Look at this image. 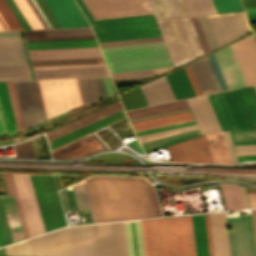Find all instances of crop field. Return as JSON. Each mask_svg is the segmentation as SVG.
I'll use <instances>...</instances> for the list:
<instances>
[{
	"instance_id": "1",
	"label": "crop field",
	"mask_w": 256,
	"mask_h": 256,
	"mask_svg": "<svg viewBox=\"0 0 256 256\" xmlns=\"http://www.w3.org/2000/svg\"><path fill=\"white\" fill-rule=\"evenodd\" d=\"M28 244L30 256H127L123 222L71 226Z\"/></svg>"
},
{
	"instance_id": "2",
	"label": "crop field",
	"mask_w": 256,
	"mask_h": 256,
	"mask_svg": "<svg viewBox=\"0 0 256 256\" xmlns=\"http://www.w3.org/2000/svg\"><path fill=\"white\" fill-rule=\"evenodd\" d=\"M97 221L162 216L153 186L143 178L86 179Z\"/></svg>"
},
{
	"instance_id": "3",
	"label": "crop field",
	"mask_w": 256,
	"mask_h": 256,
	"mask_svg": "<svg viewBox=\"0 0 256 256\" xmlns=\"http://www.w3.org/2000/svg\"><path fill=\"white\" fill-rule=\"evenodd\" d=\"M145 256H196L191 216L141 220Z\"/></svg>"
},
{
	"instance_id": "4",
	"label": "crop field",
	"mask_w": 256,
	"mask_h": 256,
	"mask_svg": "<svg viewBox=\"0 0 256 256\" xmlns=\"http://www.w3.org/2000/svg\"><path fill=\"white\" fill-rule=\"evenodd\" d=\"M110 73L173 66L163 42L101 48Z\"/></svg>"
},
{
	"instance_id": "5",
	"label": "crop field",
	"mask_w": 256,
	"mask_h": 256,
	"mask_svg": "<svg viewBox=\"0 0 256 256\" xmlns=\"http://www.w3.org/2000/svg\"><path fill=\"white\" fill-rule=\"evenodd\" d=\"M98 42L161 36L153 14L97 20Z\"/></svg>"
},
{
	"instance_id": "6",
	"label": "crop field",
	"mask_w": 256,
	"mask_h": 256,
	"mask_svg": "<svg viewBox=\"0 0 256 256\" xmlns=\"http://www.w3.org/2000/svg\"><path fill=\"white\" fill-rule=\"evenodd\" d=\"M45 231L65 226V219L52 176L29 175Z\"/></svg>"
},
{
	"instance_id": "7",
	"label": "crop field",
	"mask_w": 256,
	"mask_h": 256,
	"mask_svg": "<svg viewBox=\"0 0 256 256\" xmlns=\"http://www.w3.org/2000/svg\"><path fill=\"white\" fill-rule=\"evenodd\" d=\"M48 119L82 105L76 79L39 81Z\"/></svg>"
},
{
	"instance_id": "8",
	"label": "crop field",
	"mask_w": 256,
	"mask_h": 256,
	"mask_svg": "<svg viewBox=\"0 0 256 256\" xmlns=\"http://www.w3.org/2000/svg\"><path fill=\"white\" fill-rule=\"evenodd\" d=\"M207 19L219 47L251 32L244 12L210 15Z\"/></svg>"
},
{
	"instance_id": "9",
	"label": "crop field",
	"mask_w": 256,
	"mask_h": 256,
	"mask_svg": "<svg viewBox=\"0 0 256 256\" xmlns=\"http://www.w3.org/2000/svg\"><path fill=\"white\" fill-rule=\"evenodd\" d=\"M232 256H256L251 216L227 218Z\"/></svg>"
},
{
	"instance_id": "10",
	"label": "crop field",
	"mask_w": 256,
	"mask_h": 256,
	"mask_svg": "<svg viewBox=\"0 0 256 256\" xmlns=\"http://www.w3.org/2000/svg\"><path fill=\"white\" fill-rule=\"evenodd\" d=\"M89 10L144 5L147 0H83ZM95 19L153 13L149 5L90 11Z\"/></svg>"
},
{
	"instance_id": "11",
	"label": "crop field",
	"mask_w": 256,
	"mask_h": 256,
	"mask_svg": "<svg viewBox=\"0 0 256 256\" xmlns=\"http://www.w3.org/2000/svg\"><path fill=\"white\" fill-rule=\"evenodd\" d=\"M12 175L30 232V236L32 237L44 233V227L41 221L29 176L24 174Z\"/></svg>"
},
{
	"instance_id": "12",
	"label": "crop field",
	"mask_w": 256,
	"mask_h": 256,
	"mask_svg": "<svg viewBox=\"0 0 256 256\" xmlns=\"http://www.w3.org/2000/svg\"><path fill=\"white\" fill-rule=\"evenodd\" d=\"M167 149L172 161L214 163L205 135L168 146Z\"/></svg>"
},
{
	"instance_id": "13",
	"label": "crop field",
	"mask_w": 256,
	"mask_h": 256,
	"mask_svg": "<svg viewBox=\"0 0 256 256\" xmlns=\"http://www.w3.org/2000/svg\"><path fill=\"white\" fill-rule=\"evenodd\" d=\"M248 86L256 84V38L251 35L230 46Z\"/></svg>"
},
{
	"instance_id": "14",
	"label": "crop field",
	"mask_w": 256,
	"mask_h": 256,
	"mask_svg": "<svg viewBox=\"0 0 256 256\" xmlns=\"http://www.w3.org/2000/svg\"><path fill=\"white\" fill-rule=\"evenodd\" d=\"M27 65L19 31L0 32V66Z\"/></svg>"
},
{
	"instance_id": "15",
	"label": "crop field",
	"mask_w": 256,
	"mask_h": 256,
	"mask_svg": "<svg viewBox=\"0 0 256 256\" xmlns=\"http://www.w3.org/2000/svg\"><path fill=\"white\" fill-rule=\"evenodd\" d=\"M62 28L90 26L74 0H45Z\"/></svg>"
},
{
	"instance_id": "16",
	"label": "crop field",
	"mask_w": 256,
	"mask_h": 256,
	"mask_svg": "<svg viewBox=\"0 0 256 256\" xmlns=\"http://www.w3.org/2000/svg\"><path fill=\"white\" fill-rule=\"evenodd\" d=\"M213 55L229 89L247 86L229 46Z\"/></svg>"
},
{
	"instance_id": "17",
	"label": "crop field",
	"mask_w": 256,
	"mask_h": 256,
	"mask_svg": "<svg viewBox=\"0 0 256 256\" xmlns=\"http://www.w3.org/2000/svg\"><path fill=\"white\" fill-rule=\"evenodd\" d=\"M32 60L102 57L99 47L29 50Z\"/></svg>"
},
{
	"instance_id": "18",
	"label": "crop field",
	"mask_w": 256,
	"mask_h": 256,
	"mask_svg": "<svg viewBox=\"0 0 256 256\" xmlns=\"http://www.w3.org/2000/svg\"><path fill=\"white\" fill-rule=\"evenodd\" d=\"M125 117L126 116H125L124 110L122 109L118 112H115V113L109 115V116H106L102 119H99L95 122H92V123L86 125V126H83L79 129H76L72 132H69L65 135H62V136H60L56 139H53V140L49 141L48 143H49L50 149L52 150L56 147H59V146L65 144V143H68L72 140H75L79 137H82L86 134H89V133H91L95 130H98V129H100L102 127H105L109 124H112V123H114L118 120H121V119L125 118Z\"/></svg>"
},
{
	"instance_id": "19",
	"label": "crop field",
	"mask_w": 256,
	"mask_h": 256,
	"mask_svg": "<svg viewBox=\"0 0 256 256\" xmlns=\"http://www.w3.org/2000/svg\"><path fill=\"white\" fill-rule=\"evenodd\" d=\"M215 256H230L225 213L209 214Z\"/></svg>"
},
{
	"instance_id": "20",
	"label": "crop field",
	"mask_w": 256,
	"mask_h": 256,
	"mask_svg": "<svg viewBox=\"0 0 256 256\" xmlns=\"http://www.w3.org/2000/svg\"><path fill=\"white\" fill-rule=\"evenodd\" d=\"M249 129L256 128V93L252 86L232 90Z\"/></svg>"
},
{
	"instance_id": "21",
	"label": "crop field",
	"mask_w": 256,
	"mask_h": 256,
	"mask_svg": "<svg viewBox=\"0 0 256 256\" xmlns=\"http://www.w3.org/2000/svg\"><path fill=\"white\" fill-rule=\"evenodd\" d=\"M221 130L238 129L222 92L207 95Z\"/></svg>"
},
{
	"instance_id": "22",
	"label": "crop field",
	"mask_w": 256,
	"mask_h": 256,
	"mask_svg": "<svg viewBox=\"0 0 256 256\" xmlns=\"http://www.w3.org/2000/svg\"><path fill=\"white\" fill-rule=\"evenodd\" d=\"M122 108L123 107H122L121 103L119 102V103H117L115 105H112V106H110L108 108H105V109H103L101 111H98V112H96L94 114H91V115H89L87 117L79 119V120H77L75 122H72V123H70L68 125H65V126H63L61 128H58V129H56L54 131H51V132L47 133L46 134L47 140L49 141V140H51L53 138H56V137H58V136H60L62 134H65V133H67L69 131H72V130H74L76 128H79V127H81V126H83L85 124H88V123H90L92 121H95V120H97L99 118H102V117H104L106 115H109V114H111V113H113L115 111H118V110L122 109Z\"/></svg>"
},
{
	"instance_id": "23",
	"label": "crop field",
	"mask_w": 256,
	"mask_h": 256,
	"mask_svg": "<svg viewBox=\"0 0 256 256\" xmlns=\"http://www.w3.org/2000/svg\"><path fill=\"white\" fill-rule=\"evenodd\" d=\"M128 256H144L140 220L124 222Z\"/></svg>"
},
{
	"instance_id": "24",
	"label": "crop field",
	"mask_w": 256,
	"mask_h": 256,
	"mask_svg": "<svg viewBox=\"0 0 256 256\" xmlns=\"http://www.w3.org/2000/svg\"><path fill=\"white\" fill-rule=\"evenodd\" d=\"M0 124L3 134L17 131L5 82H0Z\"/></svg>"
},
{
	"instance_id": "25",
	"label": "crop field",
	"mask_w": 256,
	"mask_h": 256,
	"mask_svg": "<svg viewBox=\"0 0 256 256\" xmlns=\"http://www.w3.org/2000/svg\"><path fill=\"white\" fill-rule=\"evenodd\" d=\"M215 163L230 164V158L226 148L223 133L206 135Z\"/></svg>"
},
{
	"instance_id": "26",
	"label": "crop field",
	"mask_w": 256,
	"mask_h": 256,
	"mask_svg": "<svg viewBox=\"0 0 256 256\" xmlns=\"http://www.w3.org/2000/svg\"><path fill=\"white\" fill-rule=\"evenodd\" d=\"M29 49L98 46L95 39L27 42Z\"/></svg>"
},
{
	"instance_id": "27",
	"label": "crop field",
	"mask_w": 256,
	"mask_h": 256,
	"mask_svg": "<svg viewBox=\"0 0 256 256\" xmlns=\"http://www.w3.org/2000/svg\"><path fill=\"white\" fill-rule=\"evenodd\" d=\"M203 95L216 92L203 60L190 65Z\"/></svg>"
},
{
	"instance_id": "28",
	"label": "crop field",
	"mask_w": 256,
	"mask_h": 256,
	"mask_svg": "<svg viewBox=\"0 0 256 256\" xmlns=\"http://www.w3.org/2000/svg\"><path fill=\"white\" fill-rule=\"evenodd\" d=\"M201 135L199 130H193V131H189V132H185V133H181V134H177V135H173V136H169L166 138H162V139H158V140H154V141H150V142H146V143H142V147L144 149L145 152L165 146V145H169L178 141H182L185 139H189L195 136H199Z\"/></svg>"
},
{
	"instance_id": "29",
	"label": "crop field",
	"mask_w": 256,
	"mask_h": 256,
	"mask_svg": "<svg viewBox=\"0 0 256 256\" xmlns=\"http://www.w3.org/2000/svg\"><path fill=\"white\" fill-rule=\"evenodd\" d=\"M72 187L75 194L78 209H90L93 221L97 222L86 183L74 185Z\"/></svg>"
},
{
	"instance_id": "30",
	"label": "crop field",
	"mask_w": 256,
	"mask_h": 256,
	"mask_svg": "<svg viewBox=\"0 0 256 256\" xmlns=\"http://www.w3.org/2000/svg\"><path fill=\"white\" fill-rule=\"evenodd\" d=\"M228 210L243 209L237 185H220Z\"/></svg>"
},
{
	"instance_id": "31",
	"label": "crop field",
	"mask_w": 256,
	"mask_h": 256,
	"mask_svg": "<svg viewBox=\"0 0 256 256\" xmlns=\"http://www.w3.org/2000/svg\"><path fill=\"white\" fill-rule=\"evenodd\" d=\"M125 110L148 106L141 88H137L120 96Z\"/></svg>"
},
{
	"instance_id": "32",
	"label": "crop field",
	"mask_w": 256,
	"mask_h": 256,
	"mask_svg": "<svg viewBox=\"0 0 256 256\" xmlns=\"http://www.w3.org/2000/svg\"><path fill=\"white\" fill-rule=\"evenodd\" d=\"M203 60L208 69V72L210 74V77L212 79V82L215 86L216 91L219 92V91L227 90L228 88L224 82V79L220 73V70L216 64V61H215L213 55L211 54V55L203 58Z\"/></svg>"
},
{
	"instance_id": "33",
	"label": "crop field",
	"mask_w": 256,
	"mask_h": 256,
	"mask_svg": "<svg viewBox=\"0 0 256 256\" xmlns=\"http://www.w3.org/2000/svg\"><path fill=\"white\" fill-rule=\"evenodd\" d=\"M190 16L216 13L211 0H184Z\"/></svg>"
},
{
	"instance_id": "34",
	"label": "crop field",
	"mask_w": 256,
	"mask_h": 256,
	"mask_svg": "<svg viewBox=\"0 0 256 256\" xmlns=\"http://www.w3.org/2000/svg\"><path fill=\"white\" fill-rule=\"evenodd\" d=\"M105 63L103 58L32 61L33 66Z\"/></svg>"
},
{
	"instance_id": "35",
	"label": "crop field",
	"mask_w": 256,
	"mask_h": 256,
	"mask_svg": "<svg viewBox=\"0 0 256 256\" xmlns=\"http://www.w3.org/2000/svg\"><path fill=\"white\" fill-rule=\"evenodd\" d=\"M6 84H7L11 104H12V109H13L17 129L19 131V130L24 129L25 127H24V123H23V119H22V115H21V111H20V107H19L15 87H14V83L13 82H6Z\"/></svg>"
},
{
	"instance_id": "36",
	"label": "crop field",
	"mask_w": 256,
	"mask_h": 256,
	"mask_svg": "<svg viewBox=\"0 0 256 256\" xmlns=\"http://www.w3.org/2000/svg\"><path fill=\"white\" fill-rule=\"evenodd\" d=\"M2 175H3L4 183H5V186H6L7 194L8 195H14V197H15L16 204H17V207H18V210H19V214H20V217H21V220H22V224H23V227H24V230H25L26 237L29 238L30 237L29 232H28L26 222H25V219H24V216H23V212H22V209H21V206H20V202H19V199H18V195H17L16 189H15L13 179H12V175L11 174H2Z\"/></svg>"
},
{
	"instance_id": "37",
	"label": "crop field",
	"mask_w": 256,
	"mask_h": 256,
	"mask_svg": "<svg viewBox=\"0 0 256 256\" xmlns=\"http://www.w3.org/2000/svg\"><path fill=\"white\" fill-rule=\"evenodd\" d=\"M0 14L2 15L10 30L23 29L5 0H0Z\"/></svg>"
},
{
	"instance_id": "38",
	"label": "crop field",
	"mask_w": 256,
	"mask_h": 256,
	"mask_svg": "<svg viewBox=\"0 0 256 256\" xmlns=\"http://www.w3.org/2000/svg\"><path fill=\"white\" fill-rule=\"evenodd\" d=\"M15 2L22 11L27 21L29 22L32 29L43 28L40 21L38 20V18L36 17V15L32 11L31 7L29 6L26 0H15Z\"/></svg>"
},
{
	"instance_id": "39",
	"label": "crop field",
	"mask_w": 256,
	"mask_h": 256,
	"mask_svg": "<svg viewBox=\"0 0 256 256\" xmlns=\"http://www.w3.org/2000/svg\"><path fill=\"white\" fill-rule=\"evenodd\" d=\"M217 13L243 10L239 0H212Z\"/></svg>"
},
{
	"instance_id": "40",
	"label": "crop field",
	"mask_w": 256,
	"mask_h": 256,
	"mask_svg": "<svg viewBox=\"0 0 256 256\" xmlns=\"http://www.w3.org/2000/svg\"><path fill=\"white\" fill-rule=\"evenodd\" d=\"M197 17L199 19L200 25L202 27V30L204 32V35L206 37V40H207L210 50L212 51V50L218 48L216 41L214 39V36L209 27V24L207 22V19H206L207 16L206 17L205 16H197Z\"/></svg>"
},
{
	"instance_id": "41",
	"label": "crop field",
	"mask_w": 256,
	"mask_h": 256,
	"mask_svg": "<svg viewBox=\"0 0 256 256\" xmlns=\"http://www.w3.org/2000/svg\"><path fill=\"white\" fill-rule=\"evenodd\" d=\"M48 36L93 34L91 28L46 30Z\"/></svg>"
},
{
	"instance_id": "42",
	"label": "crop field",
	"mask_w": 256,
	"mask_h": 256,
	"mask_svg": "<svg viewBox=\"0 0 256 256\" xmlns=\"http://www.w3.org/2000/svg\"><path fill=\"white\" fill-rule=\"evenodd\" d=\"M14 147L17 157L36 158L31 140L14 145Z\"/></svg>"
},
{
	"instance_id": "43",
	"label": "crop field",
	"mask_w": 256,
	"mask_h": 256,
	"mask_svg": "<svg viewBox=\"0 0 256 256\" xmlns=\"http://www.w3.org/2000/svg\"><path fill=\"white\" fill-rule=\"evenodd\" d=\"M7 255H26L29 256L27 240L18 242L14 245L6 246Z\"/></svg>"
},
{
	"instance_id": "44",
	"label": "crop field",
	"mask_w": 256,
	"mask_h": 256,
	"mask_svg": "<svg viewBox=\"0 0 256 256\" xmlns=\"http://www.w3.org/2000/svg\"><path fill=\"white\" fill-rule=\"evenodd\" d=\"M30 75L27 66L0 67V77Z\"/></svg>"
},
{
	"instance_id": "45",
	"label": "crop field",
	"mask_w": 256,
	"mask_h": 256,
	"mask_svg": "<svg viewBox=\"0 0 256 256\" xmlns=\"http://www.w3.org/2000/svg\"><path fill=\"white\" fill-rule=\"evenodd\" d=\"M198 218H199L200 233H201V240H202V247H203V255L209 256L204 214L198 215Z\"/></svg>"
},
{
	"instance_id": "46",
	"label": "crop field",
	"mask_w": 256,
	"mask_h": 256,
	"mask_svg": "<svg viewBox=\"0 0 256 256\" xmlns=\"http://www.w3.org/2000/svg\"><path fill=\"white\" fill-rule=\"evenodd\" d=\"M36 2L38 3L40 8L42 9L44 14L46 15L47 19L49 20V22L51 23L53 28H61V26L59 25L58 21L56 20V18L52 14L51 10L49 9V7L45 3V1L44 0H36Z\"/></svg>"
},
{
	"instance_id": "47",
	"label": "crop field",
	"mask_w": 256,
	"mask_h": 256,
	"mask_svg": "<svg viewBox=\"0 0 256 256\" xmlns=\"http://www.w3.org/2000/svg\"><path fill=\"white\" fill-rule=\"evenodd\" d=\"M192 220H193V228H194V236H195L196 253H197V256H203L197 215L192 216Z\"/></svg>"
},
{
	"instance_id": "48",
	"label": "crop field",
	"mask_w": 256,
	"mask_h": 256,
	"mask_svg": "<svg viewBox=\"0 0 256 256\" xmlns=\"http://www.w3.org/2000/svg\"><path fill=\"white\" fill-rule=\"evenodd\" d=\"M6 1L9 4V6L11 7V9L13 10V12L15 13L16 17L18 18V20L20 21L22 26L24 27V29H31L28 22L26 21V19L22 15L21 11L19 10L17 5L15 4L14 0H6Z\"/></svg>"
},
{
	"instance_id": "49",
	"label": "crop field",
	"mask_w": 256,
	"mask_h": 256,
	"mask_svg": "<svg viewBox=\"0 0 256 256\" xmlns=\"http://www.w3.org/2000/svg\"><path fill=\"white\" fill-rule=\"evenodd\" d=\"M233 139L256 138V129L230 131Z\"/></svg>"
},
{
	"instance_id": "50",
	"label": "crop field",
	"mask_w": 256,
	"mask_h": 256,
	"mask_svg": "<svg viewBox=\"0 0 256 256\" xmlns=\"http://www.w3.org/2000/svg\"><path fill=\"white\" fill-rule=\"evenodd\" d=\"M77 2V4L79 5V7L81 8V10L83 11L84 15L86 16V18L88 19V21L90 22L92 27L98 26V24L96 23L95 19L93 18V16L90 14V12L87 10L84 2L82 0H75Z\"/></svg>"
},
{
	"instance_id": "51",
	"label": "crop field",
	"mask_w": 256,
	"mask_h": 256,
	"mask_svg": "<svg viewBox=\"0 0 256 256\" xmlns=\"http://www.w3.org/2000/svg\"><path fill=\"white\" fill-rule=\"evenodd\" d=\"M184 69H185V71H186V73H187V75H188V78H189V80H190V82H191V84H192V86H193V89H194L196 95H197V96L202 95L201 92H200V90H199V87H198V85H197V82H196V80H195V78H194V75H193V73H192V70H191L190 66L188 65V66L184 67Z\"/></svg>"
},
{
	"instance_id": "52",
	"label": "crop field",
	"mask_w": 256,
	"mask_h": 256,
	"mask_svg": "<svg viewBox=\"0 0 256 256\" xmlns=\"http://www.w3.org/2000/svg\"><path fill=\"white\" fill-rule=\"evenodd\" d=\"M223 133H224V137H225L226 144H227V147H228L231 162L232 163H237L236 157H235V154H234V150H233V146H232V143H231V139H230V136H229V132L225 131Z\"/></svg>"
},
{
	"instance_id": "53",
	"label": "crop field",
	"mask_w": 256,
	"mask_h": 256,
	"mask_svg": "<svg viewBox=\"0 0 256 256\" xmlns=\"http://www.w3.org/2000/svg\"><path fill=\"white\" fill-rule=\"evenodd\" d=\"M236 152L256 151V144L234 145Z\"/></svg>"
},
{
	"instance_id": "54",
	"label": "crop field",
	"mask_w": 256,
	"mask_h": 256,
	"mask_svg": "<svg viewBox=\"0 0 256 256\" xmlns=\"http://www.w3.org/2000/svg\"><path fill=\"white\" fill-rule=\"evenodd\" d=\"M205 218H206L207 236H208V244H209V253H210V256H214L208 214H205Z\"/></svg>"
},
{
	"instance_id": "55",
	"label": "crop field",
	"mask_w": 256,
	"mask_h": 256,
	"mask_svg": "<svg viewBox=\"0 0 256 256\" xmlns=\"http://www.w3.org/2000/svg\"><path fill=\"white\" fill-rule=\"evenodd\" d=\"M96 79H97L98 87L100 90L101 98L103 99V98L107 97L103 79L102 78H96Z\"/></svg>"
},
{
	"instance_id": "56",
	"label": "crop field",
	"mask_w": 256,
	"mask_h": 256,
	"mask_svg": "<svg viewBox=\"0 0 256 256\" xmlns=\"http://www.w3.org/2000/svg\"><path fill=\"white\" fill-rule=\"evenodd\" d=\"M239 190H240V193H241V196H242L244 207L245 208H250L249 202H248V199H247V196H246L245 188L242 187V186H239Z\"/></svg>"
},
{
	"instance_id": "57",
	"label": "crop field",
	"mask_w": 256,
	"mask_h": 256,
	"mask_svg": "<svg viewBox=\"0 0 256 256\" xmlns=\"http://www.w3.org/2000/svg\"><path fill=\"white\" fill-rule=\"evenodd\" d=\"M28 3L30 4V6L32 7L33 11L35 12V14L37 15V17L39 18V20L41 21L42 25L44 26V28H48V26L46 25V23L44 22V20L42 19V17L40 16L39 12L37 11V9L35 8V6L33 5V3L31 2V0H27Z\"/></svg>"
},
{
	"instance_id": "58",
	"label": "crop field",
	"mask_w": 256,
	"mask_h": 256,
	"mask_svg": "<svg viewBox=\"0 0 256 256\" xmlns=\"http://www.w3.org/2000/svg\"><path fill=\"white\" fill-rule=\"evenodd\" d=\"M104 79V83H105V87H106V91H107V95H112V88H111V83H110V79L109 77L103 78Z\"/></svg>"
},
{
	"instance_id": "59",
	"label": "crop field",
	"mask_w": 256,
	"mask_h": 256,
	"mask_svg": "<svg viewBox=\"0 0 256 256\" xmlns=\"http://www.w3.org/2000/svg\"><path fill=\"white\" fill-rule=\"evenodd\" d=\"M194 123H196V122L183 124V125H178V126H173V127H168V128H163V129H158V130H153V131H148V132H143V133H138L136 135L139 136V135H143V134H148V133H153V132H157V131L167 130V129L176 128V127L185 126V125H190V124H194Z\"/></svg>"
},
{
	"instance_id": "60",
	"label": "crop field",
	"mask_w": 256,
	"mask_h": 256,
	"mask_svg": "<svg viewBox=\"0 0 256 256\" xmlns=\"http://www.w3.org/2000/svg\"><path fill=\"white\" fill-rule=\"evenodd\" d=\"M21 79H31L30 76H21V77H2L0 78V81L3 80H21Z\"/></svg>"
},
{
	"instance_id": "61",
	"label": "crop field",
	"mask_w": 256,
	"mask_h": 256,
	"mask_svg": "<svg viewBox=\"0 0 256 256\" xmlns=\"http://www.w3.org/2000/svg\"><path fill=\"white\" fill-rule=\"evenodd\" d=\"M239 161L256 160V155L237 156Z\"/></svg>"
},
{
	"instance_id": "62",
	"label": "crop field",
	"mask_w": 256,
	"mask_h": 256,
	"mask_svg": "<svg viewBox=\"0 0 256 256\" xmlns=\"http://www.w3.org/2000/svg\"><path fill=\"white\" fill-rule=\"evenodd\" d=\"M244 7L256 6V0H241Z\"/></svg>"
},
{
	"instance_id": "63",
	"label": "crop field",
	"mask_w": 256,
	"mask_h": 256,
	"mask_svg": "<svg viewBox=\"0 0 256 256\" xmlns=\"http://www.w3.org/2000/svg\"><path fill=\"white\" fill-rule=\"evenodd\" d=\"M32 2L34 3V5L36 6V8L38 9V11L40 12V14L42 15L43 19L45 20V22L47 23V25L49 26V28H52V26L50 25V23L48 22V20H47L46 17L44 16L43 12H42L41 9L39 8V6H38L37 3L35 2V0H32Z\"/></svg>"
},
{
	"instance_id": "64",
	"label": "crop field",
	"mask_w": 256,
	"mask_h": 256,
	"mask_svg": "<svg viewBox=\"0 0 256 256\" xmlns=\"http://www.w3.org/2000/svg\"><path fill=\"white\" fill-rule=\"evenodd\" d=\"M252 214H253L254 232H255V240H256V210H252Z\"/></svg>"
},
{
	"instance_id": "65",
	"label": "crop field",
	"mask_w": 256,
	"mask_h": 256,
	"mask_svg": "<svg viewBox=\"0 0 256 256\" xmlns=\"http://www.w3.org/2000/svg\"><path fill=\"white\" fill-rule=\"evenodd\" d=\"M247 14L256 13V7L244 8Z\"/></svg>"
},
{
	"instance_id": "66",
	"label": "crop field",
	"mask_w": 256,
	"mask_h": 256,
	"mask_svg": "<svg viewBox=\"0 0 256 256\" xmlns=\"http://www.w3.org/2000/svg\"><path fill=\"white\" fill-rule=\"evenodd\" d=\"M0 25L3 28V30H9V28L7 27L6 23L4 22V20L2 19L1 15H0Z\"/></svg>"
},
{
	"instance_id": "67",
	"label": "crop field",
	"mask_w": 256,
	"mask_h": 256,
	"mask_svg": "<svg viewBox=\"0 0 256 256\" xmlns=\"http://www.w3.org/2000/svg\"><path fill=\"white\" fill-rule=\"evenodd\" d=\"M250 22L256 21V14L247 15Z\"/></svg>"
},
{
	"instance_id": "68",
	"label": "crop field",
	"mask_w": 256,
	"mask_h": 256,
	"mask_svg": "<svg viewBox=\"0 0 256 256\" xmlns=\"http://www.w3.org/2000/svg\"><path fill=\"white\" fill-rule=\"evenodd\" d=\"M250 201H256V194H248Z\"/></svg>"
},
{
	"instance_id": "69",
	"label": "crop field",
	"mask_w": 256,
	"mask_h": 256,
	"mask_svg": "<svg viewBox=\"0 0 256 256\" xmlns=\"http://www.w3.org/2000/svg\"><path fill=\"white\" fill-rule=\"evenodd\" d=\"M247 191H248V193H256V190L252 189V188H248Z\"/></svg>"
},
{
	"instance_id": "70",
	"label": "crop field",
	"mask_w": 256,
	"mask_h": 256,
	"mask_svg": "<svg viewBox=\"0 0 256 256\" xmlns=\"http://www.w3.org/2000/svg\"><path fill=\"white\" fill-rule=\"evenodd\" d=\"M237 155H247V154H256V152H249V153H236Z\"/></svg>"
},
{
	"instance_id": "71",
	"label": "crop field",
	"mask_w": 256,
	"mask_h": 256,
	"mask_svg": "<svg viewBox=\"0 0 256 256\" xmlns=\"http://www.w3.org/2000/svg\"><path fill=\"white\" fill-rule=\"evenodd\" d=\"M3 240H2V237H1V234H0V246H3Z\"/></svg>"
},
{
	"instance_id": "72",
	"label": "crop field",
	"mask_w": 256,
	"mask_h": 256,
	"mask_svg": "<svg viewBox=\"0 0 256 256\" xmlns=\"http://www.w3.org/2000/svg\"><path fill=\"white\" fill-rule=\"evenodd\" d=\"M247 143H256V142L234 143V144H247Z\"/></svg>"
},
{
	"instance_id": "73",
	"label": "crop field",
	"mask_w": 256,
	"mask_h": 256,
	"mask_svg": "<svg viewBox=\"0 0 256 256\" xmlns=\"http://www.w3.org/2000/svg\"><path fill=\"white\" fill-rule=\"evenodd\" d=\"M0 134H2V133H1V129H0Z\"/></svg>"
},
{
	"instance_id": "74",
	"label": "crop field",
	"mask_w": 256,
	"mask_h": 256,
	"mask_svg": "<svg viewBox=\"0 0 256 256\" xmlns=\"http://www.w3.org/2000/svg\"><path fill=\"white\" fill-rule=\"evenodd\" d=\"M0 30H2L1 27H0Z\"/></svg>"
}]
</instances>
